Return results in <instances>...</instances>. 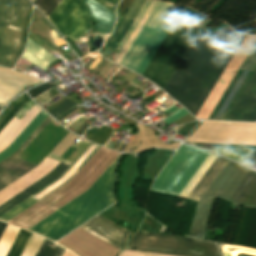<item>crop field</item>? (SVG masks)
Returning a JSON list of instances; mask_svg holds the SVG:
<instances>
[{"label": "crop field", "instance_id": "8a807250", "mask_svg": "<svg viewBox=\"0 0 256 256\" xmlns=\"http://www.w3.org/2000/svg\"><path fill=\"white\" fill-rule=\"evenodd\" d=\"M244 37L201 30L163 90L195 116Z\"/></svg>", "mask_w": 256, "mask_h": 256}, {"label": "crop field", "instance_id": "ac0d7876", "mask_svg": "<svg viewBox=\"0 0 256 256\" xmlns=\"http://www.w3.org/2000/svg\"><path fill=\"white\" fill-rule=\"evenodd\" d=\"M120 155L83 194L55 211L29 230L59 240L115 202L114 170Z\"/></svg>", "mask_w": 256, "mask_h": 256}, {"label": "crop field", "instance_id": "34b2d1b8", "mask_svg": "<svg viewBox=\"0 0 256 256\" xmlns=\"http://www.w3.org/2000/svg\"><path fill=\"white\" fill-rule=\"evenodd\" d=\"M192 25L193 22L178 17L142 76L163 89L199 32L190 29Z\"/></svg>", "mask_w": 256, "mask_h": 256}, {"label": "crop field", "instance_id": "412701ff", "mask_svg": "<svg viewBox=\"0 0 256 256\" xmlns=\"http://www.w3.org/2000/svg\"><path fill=\"white\" fill-rule=\"evenodd\" d=\"M31 4L27 0H0V65L11 68L20 53Z\"/></svg>", "mask_w": 256, "mask_h": 256}, {"label": "crop field", "instance_id": "f4fd0767", "mask_svg": "<svg viewBox=\"0 0 256 256\" xmlns=\"http://www.w3.org/2000/svg\"><path fill=\"white\" fill-rule=\"evenodd\" d=\"M125 249L178 256H220L214 243L138 231Z\"/></svg>", "mask_w": 256, "mask_h": 256}, {"label": "crop field", "instance_id": "dd49c442", "mask_svg": "<svg viewBox=\"0 0 256 256\" xmlns=\"http://www.w3.org/2000/svg\"><path fill=\"white\" fill-rule=\"evenodd\" d=\"M248 172L249 169L228 161L198 201L189 236L204 240L215 196L228 200Z\"/></svg>", "mask_w": 256, "mask_h": 256}, {"label": "crop field", "instance_id": "e52e79f7", "mask_svg": "<svg viewBox=\"0 0 256 256\" xmlns=\"http://www.w3.org/2000/svg\"><path fill=\"white\" fill-rule=\"evenodd\" d=\"M75 150L73 147H69L66 152L61 156V158L67 159L71 153ZM59 163V161L53 160L51 158L46 157L37 167L11 183L10 185L6 186L2 190H0V204L8 200L9 198L13 197L26 187L30 186L40 178L44 177L48 173H50L55 166ZM68 167V165H65L63 163H59L56 168L47 176L40 179L30 187L26 188L13 198L9 199L2 205H0V215L59 177L64 170Z\"/></svg>", "mask_w": 256, "mask_h": 256}, {"label": "crop field", "instance_id": "d8731c3e", "mask_svg": "<svg viewBox=\"0 0 256 256\" xmlns=\"http://www.w3.org/2000/svg\"><path fill=\"white\" fill-rule=\"evenodd\" d=\"M209 152L181 145L151 189L179 195Z\"/></svg>", "mask_w": 256, "mask_h": 256}, {"label": "crop field", "instance_id": "5a996713", "mask_svg": "<svg viewBox=\"0 0 256 256\" xmlns=\"http://www.w3.org/2000/svg\"><path fill=\"white\" fill-rule=\"evenodd\" d=\"M60 1L36 0L34 3L48 17ZM48 18L63 36L75 39L92 25L80 0H62Z\"/></svg>", "mask_w": 256, "mask_h": 256}, {"label": "crop field", "instance_id": "3316defc", "mask_svg": "<svg viewBox=\"0 0 256 256\" xmlns=\"http://www.w3.org/2000/svg\"><path fill=\"white\" fill-rule=\"evenodd\" d=\"M187 141L256 145V123L204 121Z\"/></svg>", "mask_w": 256, "mask_h": 256}, {"label": "crop field", "instance_id": "28ad6ade", "mask_svg": "<svg viewBox=\"0 0 256 256\" xmlns=\"http://www.w3.org/2000/svg\"><path fill=\"white\" fill-rule=\"evenodd\" d=\"M172 4L158 1L137 37L133 41L120 65L136 71L167 19L171 15L167 10Z\"/></svg>", "mask_w": 256, "mask_h": 256}, {"label": "crop field", "instance_id": "d1516ede", "mask_svg": "<svg viewBox=\"0 0 256 256\" xmlns=\"http://www.w3.org/2000/svg\"><path fill=\"white\" fill-rule=\"evenodd\" d=\"M143 2H144V0H134L132 5L130 6L129 10L125 14L124 18L120 22L119 26L115 30L114 34L110 38L109 42L105 46L104 50L102 51V53H101L102 56H104V57H106L108 59V57L110 56V54L114 50L115 46L119 42L120 38L124 34L125 30L129 26L130 22L134 18L135 14L139 10V8H140V6L142 5ZM150 2H151V0H145L143 5L141 6L140 10L136 14L135 18L131 22L130 26L126 30L125 34L121 38L120 42L116 46L115 51L121 52L122 48L124 47L125 43L127 42L128 38L130 37V35L133 32L134 28L138 24L139 20L141 19L142 15L144 14V12L147 9V7L150 4ZM156 2L157 1L152 0V2L149 5L148 9L146 10L145 14L143 15L142 19L140 20L139 24L137 25V27L135 28V30L132 33L131 37L129 38L128 42L126 43L125 47L123 48L122 52L120 53L118 58L115 60V63L119 64L120 60L124 56L125 52L129 48L130 44L132 43V41L134 40L135 36L139 32L140 28L144 24V22L147 19L148 15L150 14L151 10L155 6Z\"/></svg>", "mask_w": 256, "mask_h": 256}, {"label": "crop field", "instance_id": "22f410ed", "mask_svg": "<svg viewBox=\"0 0 256 256\" xmlns=\"http://www.w3.org/2000/svg\"><path fill=\"white\" fill-rule=\"evenodd\" d=\"M50 117L48 116L13 154L0 162V189L37 166L19 155L53 120Z\"/></svg>", "mask_w": 256, "mask_h": 256}, {"label": "crop field", "instance_id": "cbeb9de0", "mask_svg": "<svg viewBox=\"0 0 256 256\" xmlns=\"http://www.w3.org/2000/svg\"><path fill=\"white\" fill-rule=\"evenodd\" d=\"M91 144H93V143H91ZM93 145H95V144H93ZM93 145H91L90 147L88 146L89 148L87 147L88 149L86 148L87 149V150L85 149L86 151L84 150L85 151L84 154L82 153L83 155L81 154L82 156L80 155L81 157L79 156L80 158L78 157L79 159L77 158L78 160L76 159L77 161L75 160L76 162L74 161L75 163L73 162L74 164L72 163L73 165L71 164L72 166L70 165L71 167L70 166H69L70 168L68 167L69 170L67 169L68 171L66 170L67 172L65 171L66 173L64 172L65 174L63 173L64 175L62 174L63 176L61 175L62 177L61 176H60L61 178L59 177L60 179L57 178L58 179V180L56 179L57 181L54 180L55 181V182L53 181L54 183L51 182L53 184L50 183L51 185L48 184L50 186H48V185L47 186L53 190L57 186H59L61 183H63L65 180H67L82 165V163L97 149V147L100 148V146H98V145H95L97 147H95ZM93 154L84 162V164L93 156ZM76 172L67 181H65L63 184L68 182L76 174ZM63 184H61L60 186H62ZM47 186H45L44 188H42L41 190H39L38 192H36L32 196H30L29 198H27L26 200H24L23 202H21L20 204H18L14 208H12L11 210H9L8 212H6L2 216H0V219L3 220V221H6V222L10 221L11 219H13L14 217H16L17 215H19L20 213H22L23 211H25L26 209H28L29 207H31L32 205L37 203L39 200H41L42 198H44L45 196H47L48 194H50L51 192L54 191V190L52 191L51 189H49ZM59 187H57V188H59Z\"/></svg>", "mask_w": 256, "mask_h": 256}, {"label": "crop field", "instance_id": "5142ce71", "mask_svg": "<svg viewBox=\"0 0 256 256\" xmlns=\"http://www.w3.org/2000/svg\"><path fill=\"white\" fill-rule=\"evenodd\" d=\"M256 67V44L217 104L209 119H223L240 90ZM228 113V112H227Z\"/></svg>", "mask_w": 256, "mask_h": 256}, {"label": "crop field", "instance_id": "d9b57169", "mask_svg": "<svg viewBox=\"0 0 256 256\" xmlns=\"http://www.w3.org/2000/svg\"><path fill=\"white\" fill-rule=\"evenodd\" d=\"M219 158H220V156L210 153V155L207 157V159L204 161V163L201 165V167L198 169V171L192 177L190 182L187 184V186L181 192L179 197L190 199V197L193 195V193L196 191V189L202 183L204 178L207 176V174L210 172V170L213 168V166L216 164V162L219 160ZM227 161L228 160H226L222 157L220 158V160L217 162V164L214 166V168L208 174L206 179L203 181V183L200 185V187L197 189V191L191 197L192 200H196V201L199 200V198L202 196V194L205 192V190L208 188V186L211 184V182L214 180V178L217 176V174L220 172V170L223 168V166L226 164Z\"/></svg>", "mask_w": 256, "mask_h": 256}, {"label": "crop field", "instance_id": "733c2abd", "mask_svg": "<svg viewBox=\"0 0 256 256\" xmlns=\"http://www.w3.org/2000/svg\"><path fill=\"white\" fill-rule=\"evenodd\" d=\"M224 119L256 121V68Z\"/></svg>", "mask_w": 256, "mask_h": 256}, {"label": "crop field", "instance_id": "4a817a6b", "mask_svg": "<svg viewBox=\"0 0 256 256\" xmlns=\"http://www.w3.org/2000/svg\"><path fill=\"white\" fill-rule=\"evenodd\" d=\"M79 228L89 232L90 234L120 250L123 248L128 236L131 234L130 231L99 215Z\"/></svg>", "mask_w": 256, "mask_h": 256}, {"label": "crop field", "instance_id": "bc2a9ffb", "mask_svg": "<svg viewBox=\"0 0 256 256\" xmlns=\"http://www.w3.org/2000/svg\"><path fill=\"white\" fill-rule=\"evenodd\" d=\"M41 110L35 104L22 118L15 116L0 132V151L6 148Z\"/></svg>", "mask_w": 256, "mask_h": 256}, {"label": "crop field", "instance_id": "214f88e0", "mask_svg": "<svg viewBox=\"0 0 256 256\" xmlns=\"http://www.w3.org/2000/svg\"><path fill=\"white\" fill-rule=\"evenodd\" d=\"M229 201L241 205L256 206V173L250 170Z\"/></svg>", "mask_w": 256, "mask_h": 256}, {"label": "crop field", "instance_id": "92a150f3", "mask_svg": "<svg viewBox=\"0 0 256 256\" xmlns=\"http://www.w3.org/2000/svg\"><path fill=\"white\" fill-rule=\"evenodd\" d=\"M35 81L37 80L0 68V102L21 83L31 84ZM24 87L25 85H23L14 95L18 94ZM14 95H12L3 105H7L8 101L12 99Z\"/></svg>", "mask_w": 256, "mask_h": 256}, {"label": "crop field", "instance_id": "dafd665d", "mask_svg": "<svg viewBox=\"0 0 256 256\" xmlns=\"http://www.w3.org/2000/svg\"><path fill=\"white\" fill-rule=\"evenodd\" d=\"M83 1L88 8L89 14L96 20L99 32L107 37L112 31L115 14L92 0Z\"/></svg>", "mask_w": 256, "mask_h": 256}, {"label": "crop field", "instance_id": "00972430", "mask_svg": "<svg viewBox=\"0 0 256 256\" xmlns=\"http://www.w3.org/2000/svg\"><path fill=\"white\" fill-rule=\"evenodd\" d=\"M23 58L29 60L43 70L49 65L51 61L56 59L30 39L28 40L27 48Z\"/></svg>", "mask_w": 256, "mask_h": 256}, {"label": "crop field", "instance_id": "a9b5d70f", "mask_svg": "<svg viewBox=\"0 0 256 256\" xmlns=\"http://www.w3.org/2000/svg\"><path fill=\"white\" fill-rule=\"evenodd\" d=\"M47 116L48 115L42 110L34 118V120L15 138V140L5 150L0 152V161L13 153Z\"/></svg>", "mask_w": 256, "mask_h": 256}, {"label": "crop field", "instance_id": "4177f3b9", "mask_svg": "<svg viewBox=\"0 0 256 256\" xmlns=\"http://www.w3.org/2000/svg\"><path fill=\"white\" fill-rule=\"evenodd\" d=\"M256 147L217 145L214 151L243 163Z\"/></svg>", "mask_w": 256, "mask_h": 256}, {"label": "crop field", "instance_id": "730fd06b", "mask_svg": "<svg viewBox=\"0 0 256 256\" xmlns=\"http://www.w3.org/2000/svg\"><path fill=\"white\" fill-rule=\"evenodd\" d=\"M174 22L175 21L170 16L169 20L165 24L164 28L160 32L159 36L157 37V39L155 40L154 44L152 45V47L150 48L149 52L147 53V55L145 56L144 60L140 64L139 68L137 69V72L142 74V72L144 71L145 67L147 66V64L149 63L151 58L153 57L154 53L156 52V50L158 49V47L162 43L163 39L165 38V36L169 32V30L172 27V25L174 24Z\"/></svg>", "mask_w": 256, "mask_h": 256}, {"label": "crop field", "instance_id": "eef30255", "mask_svg": "<svg viewBox=\"0 0 256 256\" xmlns=\"http://www.w3.org/2000/svg\"><path fill=\"white\" fill-rule=\"evenodd\" d=\"M30 235L31 232L20 229L6 256H20Z\"/></svg>", "mask_w": 256, "mask_h": 256}, {"label": "crop field", "instance_id": "ae1a2a85", "mask_svg": "<svg viewBox=\"0 0 256 256\" xmlns=\"http://www.w3.org/2000/svg\"><path fill=\"white\" fill-rule=\"evenodd\" d=\"M27 93H24L20 99L10 108V110L0 119V131L6 124L15 116V114L25 105L29 100Z\"/></svg>", "mask_w": 256, "mask_h": 256}, {"label": "crop field", "instance_id": "d3111659", "mask_svg": "<svg viewBox=\"0 0 256 256\" xmlns=\"http://www.w3.org/2000/svg\"><path fill=\"white\" fill-rule=\"evenodd\" d=\"M64 248L45 239L37 256H61Z\"/></svg>", "mask_w": 256, "mask_h": 256}, {"label": "crop field", "instance_id": "750c4746", "mask_svg": "<svg viewBox=\"0 0 256 256\" xmlns=\"http://www.w3.org/2000/svg\"><path fill=\"white\" fill-rule=\"evenodd\" d=\"M42 240L43 237L33 233L22 256H35Z\"/></svg>", "mask_w": 256, "mask_h": 256}, {"label": "crop field", "instance_id": "bd1437ed", "mask_svg": "<svg viewBox=\"0 0 256 256\" xmlns=\"http://www.w3.org/2000/svg\"><path fill=\"white\" fill-rule=\"evenodd\" d=\"M77 137L78 136H75L69 132L65 136V138L55 147V149L51 152V154L60 157Z\"/></svg>", "mask_w": 256, "mask_h": 256}, {"label": "crop field", "instance_id": "1d83c4d3", "mask_svg": "<svg viewBox=\"0 0 256 256\" xmlns=\"http://www.w3.org/2000/svg\"><path fill=\"white\" fill-rule=\"evenodd\" d=\"M75 106L73 102L69 99L65 100L58 106H56L54 109H52L50 112H48L50 115H52L55 119L58 118L60 115L65 113L67 110Z\"/></svg>", "mask_w": 256, "mask_h": 256}, {"label": "crop field", "instance_id": "120bbe31", "mask_svg": "<svg viewBox=\"0 0 256 256\" xmlns=\"http://www.w3.org/2000/svg\"><path fill=\"white\" fill-rule=\"evenodd\" d=\"M98 4L102 5L103 7L107 8L111 12L115 13V7L119 0H93Z\"/></svg>", "mask_w": 256, "mask_h": 256}, {"label": "crop field", "instance_id": "d32e631a", "mask_svg": "<svg viewBox=\"0 0 256 256\" xmlns=\"http://www.w3.org/2000/svg\"><path fill=\"white\" fill-rule=\"evenodd\" d=\"M49 88H51V86L48 85L47 83H45V84H42V85H40V86H38V87H35V88L29 90L28 92H29L30 96H31L32 99H33L34 97H36V96L42 94L43 92H45V91L48 90Z\"/></svg>", "mask_w": 256, "mask_h": 256}, {"label": "crop field", "instance_id": "5866460e", "mask_svg": "<svg viewBox=\"0 0 256 256\" xmlns=\"http://www.w3.org/2000/svg\"><path fill=\"white\" fill-rule=\"evenodd\" d=\"M187 113H189V112H187L186 110H184L182 108L179 111H177L176 113H174L173 115L164 119L163 121L166 122L169 125V124L173 123L174 121H176L177 119H179L180 117L184 116Z\"/></svg>", "mask_w": 256, "mask_h": 256}, {"label": "crop field", "instance_id": "028f5c9d", "mask_svg": "<svg viewBox=\"0 0 256 256\" xmlns=\"http://www.w3.org/2000/svg\"><path fill=\"white\" fill-rule=\"evenodd\" d=\"M198 122H199V121L184 124V125L179 129V131L177 132V134H181V135L186 136V135L188 134V132H189L192 128H194Z\"/></svg>", "mask_w": 256, "mask_h": 256}, {"label": "crop field", "instance_id": "e1f06a70", "mask_svg": "<svg viewBox=\"0 0 256 256\" xmlns=\"http://www.w3.org/2000/svg\"><path fill=\"white\" fill-rule=\"evenodd\" d=\"M244 164L251 167L252 164L256 165V150L251 154V156L244 162Z\"/></svg>", "mask_w": 256, "mask_h": 256}, {"label": "crop field", "instance_id": "0bd39190", "mask_svg": "<svg viewBox=\"0 0 256 256\" xmlns=\"http://www.w3.org/2000/svg\"><path fill=\"white\" fill-rule=\"evenodd\" d=\"M136 76H138V75H136V74H134V73H129L127 76H125L122 80H124L125 82H130L132 79H134Z\"/></svg>", "mask_w": 256, "mask_h": 256}, {"label": "crop field", "instance_id": "b80d0937", "mask_svg": "<svg viewBox=\"0 0 256 256\" xmlns=\"http://www.w3.org/2000/svg\"><path fill=\"white\" fill-rule=\"evenodd\" d=\"M88 125H86L85 123L78 129V131L76 132V134L82 135L83 131L86 129Z\"/></svg>", "mask_w": 256, "mask_h": 256}, {"label": "crop field", "instance_id": "c035e120", "mask_svg": "<svg viewBox=\"0 0 256 256\" xmlns=\"http://www.w3.org/2000/svg\"><path fill=\"white\" fill-rule=\"evenodd\" d=\"M6 225H7L6 223L0 222V237H1V235H2V233L4 231V229H5Z\"/></svg>", "mask_w": 256, "mask_h": 256}, {"label": "crop field", "instance_id": "c21b1889", "mask_svg": "<svg viewBox=\"0 0 256 256\" xmlns=\"http://www.w3.org/2000/svg\"><path fill=\"white\" fill-rule=\"evenodd\" d=\"M75 109H77V108L75 107L74 109L68 111L67 113H65L64 115H62L61 117H59V118L56 119V120H58V121L61 120L62 118H64L66 115H68L69 113H71V112L74 111Z\"/></svg>", "mask_w": 256, "mask_h": 256}, {"label": "crop field", "instance_id": "03da06ac", "mask_svg": "<svg viewBox=\"0 0 256 256\" xmlns=\"http://www.w3.org/2000/svg\"><path fill=\"white\" fill-rule=\"evenodd\" d=\"M177 110H179V109H177L176 107L173 106V107H171L170 109H168V110H166V111H164V112L167 113V112L170 111V112L173 113V112H175V111H177Z\"/></svg>", "mask_w": 256, "mask_h": 256}, {"label": "crop field", "instance_id": "b54c1fbb", "mask_svg": "<svg viewBox=\"0 0 256 256\" xmlns=\"http://www.w3.org/2000/svg\"><path fill=\"white\" fill-rule=\"evenodd\" d=\"M2 109H3V107H0V112H1Z\"/></svg>", "mask_w": 256, "mask_h": 256}]
</instances>
